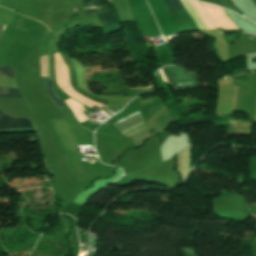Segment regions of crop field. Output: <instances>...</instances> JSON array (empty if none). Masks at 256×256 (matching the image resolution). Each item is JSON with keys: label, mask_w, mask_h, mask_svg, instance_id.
Wrapping results in <instances>:
<instances>
[{"label": "crop field", "mask_w": 256, "mask_h": 256, "mask_svg": "<svg viewBox=\"0 0 256 256\" xmlns=\"http://www.w3.org/2000/svg\"><path fill=\"white\" fill-rule=\"evenodd\" d=\"M85 16L97 13L102 27L118 24L112 5L107 0H82Z\"/></svg>", "instance_id": "8a807250"}, {"label": "crop field", "mask_w": 256, "mask_h": 256, "mask_svg": "<svg viewBox=\"0 0 256 256\" xmlns=\"http://www.w3.org/2000/svg\"><path fill=\"white\" fill-rule=\"evenodd\" d=\"M167 80L175 87L198 84L195 74L187 73L177 66L161 68Z\"/></svg>", "instance_id": "ac0d7876"}, {"label": "crop field", "mask_w": 256, "mask_h": 256, "mask_svg": "<svg viewBox=\"0 0 256 256\" xmlns=\"http://www.w3.org/2000/svg\"><path fill=\"white\" fill-rule=\"evenodd\" d=\"M114 128L123 135H129L144 127V120L140 112L131 114L114 124Z\"/></svg>", "instance_id": "34b2d1b8"}, {"label": "crop field", "mask_w": 256, "mask_h": 256, "mask_svg": "<svg viewBox=\"0 0 256 256\" xmlns=\"http://www.w3.org/2000/svg\"><path fill=\"white\" fill-rule=\"evenodd\" d=\"M180 1L183 3L185 8L187 9L189 15L191 16L192 20L197 25L199 30H203V29H205V27H206V29L215 28L213 26V24L209 21L207 15L205 14L204 10L201 8V6L199 5L198 2L188 0L190 2V4L192 5L193 9L195 10V12L197 13V15L199 16V18L201 19V21H202V23L204 24L205 27L203 26L200 19L198 18V16L196 15L194 10L192 9L189 2L187 0H180Z\"/></svg>", "instance_id": "412701ff"}, {"label": "crop field", "mask_w": 256, "mask_h": 256, "mask_svg": "<svg viewBox=\"0 0 256 256\" xmlns=\"http://www.w3.org/2000/svg\"><path fill=\"white\" fill-rule=\"evenodd\" d=\"M61 58L64 62L69 87H71L72 89H74L75 91L80 93L81 95L85 96L86 98H88L92 101H95L99 104L105 105L107 102L106 100H102L94 95H91V94L83 91L76 85L75 72H74L73 65H72L70 59L67 58L65 55H61Z\"/></svg>", "instance_id": "f4fd0767"}, {"label": "crop field", "mask_w": 256, "mask_h": 256, "mask_svg": "<svg viewBox=\"0 0 256 256\" xmlns=\"http://www.w3.org/2000/svg\"><path fill=\"white\" fill-rule=\"evenodd\" d=\"M33 128L31 122L25 118H14L0 112V131Z\"/></svg>", "instance_id": "dd49c442"}, {"label": "crop field", "mask_w": 256, "mask_h": 256, "mask_svg": "<svg viewBox=\"0 0 256 256\" xmlns=\"http://www.w3.org/2000/svg\"><path fill=\"white\" fill-rule=\"evenodd\" d=\"M15 69L12 68H1L0 76L14 78ZM22 97L19 90L0 88V98H15Z\"/></svg>", "instance_id": "e52e79f7"}, {"label": "crop field", "mask_w": 256, "mask_h": 256, "mask_svg": "<svg viewBox=\"0 0 256 256\" xmlns=\"http://www.w3.org/2000/svg\"><path fill=\"white\" fill-rule=\"evenodd\" d=\"M72 101V103L75 105V107L78 109V111L81 113V115L84 117L85 120H87L84 116V114L82 112L86 111L87 109L82 106L81 104H79L78 102H76L73 99H70ZM65 101V103L70 107V109L72 110V112L74 113L75 117L80 121H84L83 117L80 115V113L77 111V109L74 107V105L71 103V101Z\"/></svg>", "instance_id": "d8731c3e"}, {"label": "crop field", "mask_w": 256, "mask_h": 256, "mask_svg": "<svg viewBox=\"0 0 256 256\" xmlns=\"http://www.w3.org/2000/svg\"><path fill=\"white\" fill-rule=\"evenodd\" d=\"M164 2L170 14L185 9L179 0H164Z\"/></svg>", "instance_id": "5a996713"}, {"label": "crop field", "mask_w": 256, "mask_h": 256, "mask_svg": "<svg viewBox=\"0 0 256 256\" xmlns=\"http://www.w3.org/2000/svg\"><path fill=\"white\" fill-rule=\"evenodd\" d=\"M45 83H46L47 92H48L49 96L51 97V99L59 106L60 109L62 107H64L62 102L59 100V98L56 96V94L53 91L52 80L51 79H45Z\"/></svg>", "instance_id": "3316defc"}, {"label": "crop field", "mask_w": 256, "mask_h": 256, "mask_svg": "<svg viewBox=\"0 0 256 256\" xmlns=\"http://www.w3.org/2000/svg\"><path fill=\"white\" fill-rule=\"evenodd\" d=\"M41 77H50L49 56H41Z\"/></svg>", "instance_id": "28ad6ade"}, {"label": "crop field", "mask_w": 256, "mask_h": 256, "mask_svg": "<svg viewBox=\"0 0 256 256\" xmlns=\"http://www.w3.org/2000/svg\"><path fill=\"white\" fill-rule=\"evenodd\" d=\"M207 3L217 4L219 6L225 7L231 11H235L232 6L226 0H199ZM236 12V11H235Z\"/></svg>", "instance_id": "d1516ede"}, {"label": "crop field", "mask_w": 256, "mask_h": 256, "mask_svg": "<svg viewBox=\"0 0 256 256\" xmlns=\"http://www.w3.org/2000/svg\"><path fill=\"white\" fill-rule=\"evenodd\" d=\"M2 28H3V26H0V43H1L2 36H3V32H4V31H2ZM4 28H5V26H4ZM4 28H3V30H4Z\"/></svg>", "instance_id": "22f410ed"}]
</instances>
